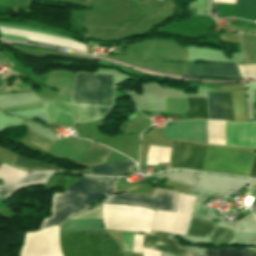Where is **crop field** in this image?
<instances>
[{
    "mask_svg": "<svg viewBox=\"0 0 256 256\" xmlns=\"http://www.w3.org/2000/svg\"><path fill=\"white\" fill-rule=\"evenodd\" d=\"M115 85L111 75L77 74L73 104L113 105ZM73 105L75 123H88L107 116L113 106Z\"/></svg>",
    "mask_w": 256,
    "mask_h": 256,
    "instance_id": "ac0d7876",
    "label": "crop field"
},
{
    "mask_svg": "<svg viewBox=\"0 0 256 256\" xmlns=\"http://www.w3.org/2000/svg\"><path fill=\"white\" fill-rule=\"evenodd\" d=\"M162 131L164 138L206 143L205 121H182Z\"/></svg>",
    "mask_w": 256,
    "mask_h": 256,
    "instance_id": "28ad6ade",
    "label": "crop field"
},
{
    "mask_svg": "<svg viewBox=\"0 0 256 256\" xmlns=\"http://www.w3.org/2000/svg\"><path fill=\"white\" fill-rule=\"evenodd\" d=\"M64 256H123L105 232L60 233Z\"/></svg>",
    "mask_w": 256,
    "mask_h": 256,
    "instance_id": "412701ff",
    "label": "crop field"
},
{
    "mask_svg": "<svg viewBox=\"0 0 256 256\" xmlns=\"http://www.w3.org/2000/svg\"><path fill=\"white\" fill-rule=\"evenodd\" d=\"M208 95L210 103V119L224 120L225 116V120L233 121L230 92H222L224 116L221 92H208Z\"/></svg>",
    "mask_w": 256,
    "mask_h": 256,
    "instance_id": "cbeb9de0",
    "label": "crop field"
},
{
    "mask_svg": "<svg viewBox=\"0 0 256 256\" xmlns=\"http://www.w3.org/2000/svg\"><path fill=\"white\" fill-rule=\"evenodd\" d=\"M194 199L195 197L179 193L176 212L156 210L152 230L185 235L192 215Z\"/></svg>",
    "mask_w": 256,
    "mask_h": 256,
    "instance_id": "e52e79f7",
    "label": "crop field"
},
{
    "mask_svg": "<svg viewBox=\"0 0 256 256\" xmlns=\"http://www.w3.org/2000/svg\"><path fill=\"white\" fill-rule=\"evenodd\" d=\"M115 179L84 177L66 188L65 194H56L55 215L43 228L61 224L68 216L86 212L89 206L104 195H111Z\"/></svg>",
    "mask_w": 256,
    "mask_h": 256,
    "instance_id": "34b2d1b8",
    "label": "crop field"
},
{
    "mask_svg": "<svg viewBox=\"0 0 256 256\" xmlns=\"http://www.w3.org/2000/svg\"><path fill=\"white\" fill-rule=\"evenodd\" d=\"M12 164L17 167H21V168H24L27 170H34L37 172H40V171H65V170H62L53 165L30 161L25 158L19 157L17 155L14 156Z\"/></svg>",
    "mask_w": 256,
    "mask_h": 256,
    "instance_id": "bc2a9ffb",
    "label": "crop field"
},
{
    "mask_svg": "<svg viewBox=\"0 0 256 256\" xmlns=\"http://www.w3.org/2000/svg\"><path fill=\"white\" fill-rule=\"evenodd\" d=\"M248 252V256H256V252H254L253 250H247Z\"/></svg>",
    "mask_w": 256,
    "mask_h": 256,
    "instance_id": "d3111659",
    "label": "crop field"
},
{
    "mask_svg": "<svg viewBox=\"0 0 256 256\" xmlns=\"http://www.w3.org/2000/svg\"><path fill=\"white\" fill-rule=\"evenodd\" d=\"M3 165L0 163V166ZM27 175V171L14 168L10 165L4 164L0 167V179H2L3 185L15 182L16 180Z\"/></svg>",
    "mask_w": 256,
    "mask_h": 256,
    "instance_id": "dafd665d",
    "label": "crop field"
},
{
    "mask_svg": "<svg viewBox=\"0 0 256 256\" xmlns=\"http://www.w3.org/2000/svg\"><path fill=\"white\" fill-rule=\"evenodd\" d=\"M251 176L256 177V155H255V159H254V163H253V167H252Z\"/></svg>",
    "mask_w": 256,
    "mask_h": 256,
    "instance_id": "ae1a2a85",
    "label": "crop field"
},
{
    "mask_svg": "<svg viewBox=\"0 0 256 256\" xmlns=\"http://www.w3.org/2000/svg\"><path fill=\"white\" fill-rule=\"evenodd\" d=\"M189 119H208L206 98H186Z\"/></svg>",
    "mask_w": 256,
    "mask_h": 256,
    "instance_id": "d9b57169",
    "label": "crop field"
},
{
    "mask_svg": "<svg viewBox=\"0 0 256 256\" xmlns=\"http://www.w3.org/2000/svg\"><path fill=\"white\" fill-rule=\"evenodd\" d=\"M84 218H101L100 207L97 206L86 213L72 216L69 219ZM82 231H104L101 227V219L66 220L60 228V232Z\"/></svg>",
    "mask_w": 256,
    "mask_h": 256,
    "instance_id": "d1516ede",
    "label": "crop field"
},
{
    "mask_svg": "<svg viewBox=\"0 0 256 256\" xmlns=\"http://www.w3.org/2000/svg\"><path fill=\"white\" fill-rule=\"evenodd\" d=\"M242 88H244L243 83H239V84L222 85L216 89L223 90V91H229V90L242 89Z\"/></svg>",
    "mask_w": 256,
    "mask_h": 256,
    "instance_id": "730fd06b",
    "label": "crop field"
},
{
    "mask_svg": "<svg viewBox=\"0 0 256 256\" xmlns=\"http://www.w3.org/2000/svg\"><path fill=\"white\" fill-rule=\"evenodd\" d=\"M176 197L177 193L156 188L154 196L121 193L110 196L104 202L138 205L154 209L175 211Z\"/></svg>",
    "mask_w": 256,
    "mask_h": 256,
    "instance_id": "5a996713",
    "label": "crop field"
},
{
    "mask_svg": "<svg viewBox=\"0 0 256 256\" xmlns=\"http://www.w3.org/2000/svg\"><path fill=\"white\" fill-rule=\"evenodd\" d=\"M53 173H40V174H35L30 177H27L20 182L4 187H0V198H4L10 191L16 189L20 185L23 184H28V183H35V182H42V181H47L48 178L52 175Z\"/></svg>",
    "mask_w": 256,
    "mask_h": 256,
    "instance_id": "92a150f3",
    "label": "crop field"
},
{
    "mask_svg": "<svg viewBox=\"0 0 256 256\" xmlns=\"http://www.w3.org/2000/svg\"><path fill=\"white\" fill-rule=\"evenodd\" d=\"M234 121H248L245 90L231 92Z\"/></svg>",
    "mask_w": 256,
    "mask_h": 256,
    "instance_id": "4a817a6b",
    "label": "crop field"
},
{
    "mask_svg": "<svg viewBox=\"0 0 256 256\" xmlns=\"http://www.w3.org/2000/svg\"><path fill=\"white\" fill-rule=\"evenodd\" d=\"M205 256H247L246 248L240 249H217L214 251L204 250Z\"/></svg>",
    "mask_w": 256,
    "mask_h": 256,
    "instance_id": "a9b5d70f",
    "label": "crop field"
},
{
    "mask_svg": "<svg viewBox=\"0 0 256 256\" xmlns=\"http://www.w3.org/2000/svg\"><path fill=\"white\" fill-rule=\"evenodd\" d=\"M207 143L225 146L224 121H208Z\"/></svg>",
    "mask_w": 256,
    "mask_h": 256,
    "instance_id": "733c2abd",
    "label": "crop field"
},
{
    "mask_svg": "<svg viewBox=\"0 0 256 256\" xmlns=\"http://www.w3.org/2000/svg\"><path fill=\"white\" fill-rule=\"evenodd\" d=\"M143 235L135 234L134 253H142Z\"/></svg>",
    "mask_w": 256,
    "mask_h": 256,
    "instance_id": "4177f3b9",
    "label": "crop field"
},
{
    "mask_svg": "<svg viewBox=\"0 0 256 256\" xmlns=\"http://www.w3.org/2000/svg\"><path fill=\"white\" fill-rule=\"evenodd\" d=\"M137 167L133 160L127 159L89 168L90 175L120 176L132 172Z\"/></svg>",
    "mask_w": 256,
    "mask_h": 256,
    "instance_id": "5142ce71",
    "label": "crop field"
},
{
    "mask_svg": "<svg viewBox=\"0 0 256 256\" xmlns=\"http://www.w3.org/2000/svg\"><path fill=\"white\" fill-rule=\"evenodd\" d=\"M206 212H207V207L206 206L199 205V204L195 203L194 211H193L194 214H198V215L206 217Z\"/></svg>",
    "mask_w": 256,
    "mask_h": 256,
    "instance_id": "eef30255",
    "label": "crop field"
},
{
    "mask_svg": "<svg viewBox=\"0 0 256 256\" xmlns=\"http://www.w3.org/2000/svg\"><path fill=\"white\" fill-rule=\"evenodd\" d=\"M253 154L174 141L171 168L249 176Z\"/></svg>",
    "mask_w": 256,
    "mask_h": 256,
    "instance_id": "8a807250",
    "label": "crop field"
},
{
    "mask_svg": "<svg viewBox=\"0 0 256 256\" xmlns=\"http://www.w3.org/2000/svg\"><path fill=\"white\" fill-rule=\"evenodd\" d=\"M155 211L143 207L102 204L105 228L150 234Z\"/></svg>",
    "mask_w": 256,
    "mask_h": 256,
    "instance_id": "f4fd0767",
    "label": "crop field"
},
{
    "mask_svg": "<svg viewBox=\"0 0 256 256\" xmlns=\"http://www.w3.org/2000/svg\"><path fill=\"white\" fill-rule=\"evenodd\" d=\"M125 256H142V254H124Z\"/></svg>",
    "mask_w": 256,
    "mask_h": 256,
    "instance_id": "750c4746",
    "label": "crop field"
},
{
    "mask_svg": "<svg viewBox=\"0 0 256 256\" xmlns=\"http://www.w3.org/2000/svg\"><path fill=\"white\" fill-rule=\"evenodd\" d=\"M188 76H220L241 78L236 65L228 64H204L198 68L188 66Z\"/></svg>",
    "mask_w": 256,
    "mask_h": 256,
    "instance_id": "22f410ed",
    "label": "crop field"
},
{
    "mask_svg": "<svg viewBox=\"0 0 256 256\" xmlns=\"http://www.w3.org/2000/svg\"><path fill=\"white\" fill-rule=\"evenodd\" d=\"M215 226L197 217H192L187 234L195 237H206ZM171 234L152 231L151 235L144 234L143 247L171 253L175 256H197L187 249L179 248Z\"/></svg>",
    "mask_w": 256,
    "mask_h": 256,
    "instance_id": "dd49c442",
    "label": "crop field"
},
{
    "mask_svg": "<svg viewBox=\"0 0 256 256\" xmlns=\"http://www.w3.org/2000/svg\"><path fill=\"white\" fill-rule=\"evenodd\" d=\"M233 235L234 231L217 225L205 243L227 244Z\"/></svg>",
    "mask_w": 256,
    "mask_h": 256,
    "instance_id": "00972430",
    "label": "crop field"
},
{
    "mask_svg": "<svg viewBox=\"0 0 256 256\" xmlns=\"http://www.w3.org/2000/svg\"><path fill=\"white\" fill-rule=\"evenodd\" d=\"M59 226L26 233L20 256H62L58 243Z\"/></svg>",
    "mask_w": 256,
    "mask_h": 256,
    "instance_id": "d8731c3e",
    "label": "crop field"
},
{
    "mask_svg": "<svg viewBox=\"0 0 256 256\" xmlns=\"http://www.w3.org/2000/svg\"><path fill=\"white\" fill-rule=\"evenodd\" d=\"M24 141L44 150L45 152L54 143L31 130H29V135L26 139H24ZM110 151L111 150L108 148L93 143L85 152V154L80 158L78 163L87 166L103 163Z\"/></svg>",
    "mask_w": 256,
    "mask_h": 256,
    "instance_id": "3316defc",
    "label": "crop field"
},
{
    "mask_svg": "<svg viewBox=\"0 0 256 256\" xmlns=\"http://www.w3.org/2000/svg\"><path fill=\"white\" fill-rule=\"evenodd\" d=\"M170 150L171 148L150 146L146 165L169 163Z\"/></svg>",
    "mask_w": 256,
    "mask_h": 256,
    "instance_id": "214f88e0",
    "label": "crop field"
}]
</instances>
